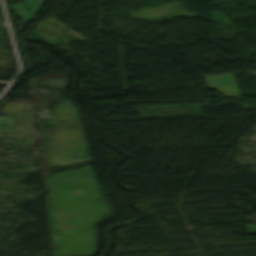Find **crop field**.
Segmentation results:
<instances>
[{"mask_svg":"<svg viewBox=\"0 0 256 256\" xmlns=\"http://www.w3.org/2000/svg\"><path fill=\"white\" fill-rule=\"evenodd\" d=\"M205 78L208 88L216 89L227 96H240L232 74L209 76Z\"/></svg>","mask_w":256,"mask_h":256,"instance_id":"crop-field-1","label":"crop field"},{"mask_svg":"<svg viewBox=\"0 0 256 256\" xmlns=\"http://www.w3.org/2000/svg\"><path fill=\"white\" fill-rule=\"evenodd\" d=\"M46 0H24L28 8L33 11V13L27 11L22 4L11 6L10 8L22 19H25V21H30L33 19V17L36 15L38 10L41 8L43 3ZM24 3V4H25Z\"/></svg>","mask_w":256,"mask_h":256,"instance_id":"crop-field-2","label":"crop field"}]
</instances>
